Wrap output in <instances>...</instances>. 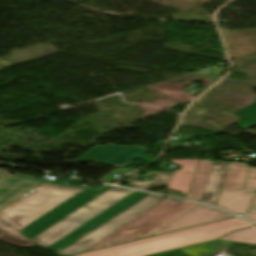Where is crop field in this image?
<instances>
[{"label": "crop field", "mask_w": 256, "mask_h": 256, "mask_svg": "<svg viewBox=\"0 0 256 256\" xmlns=\"http://www.w3.org/2000/svg\"><path fill=\"white\" fill-rule=\"evenodd\" d=\"M6 172L0 170V218L18 231L86 188Z\"/></svg>", "instance_id": "1"}, {"label": "crop field", "mask_w": 256, "mask_h": 256, "mask_svg": "<svg viewBox=\"0 0 256 256\" xmlns=\"http://www.w3.org/2000/svg\"><path fill=\"white\" fill-rule=\"evenodd\" d=\"M251 225L255 224L234 217L75 256H145L214 240L235 229Z\"/></svg>", "instance_id": "2"}, {"label": "crop field", "mask_w": 256, "mask_h": 256, "mask_svg": "<svg viewBox=\"0 0 256 256\" xmlns=\"http://www.w3.org/2000/svg\"><path fill=\"white\" fill-rule=\"evenodd\" d=\"M197 205L165 199L85 251L148 237Z\"/></svg>", "instance_id": "3"}, {"label": "crop field", "mask_w": 256, "mask_h": 256, "mask_svg": "<svg viewBox=\"0 0 256 256\" xmlns=\"http://www.w3.org/2000/svg\"><path fill=\"white\" fill-rule=\"evenodd\" d=\"M132 192L134 191L112 187L31 241L45 249Z\"/></svg>", "instance_id": "4"}, {"label": "crop field", "mask_w": 256, "mask_h": 256, "mask_svg": "<svg viewBox=\"0 0 256 256\" xmlns=\"http://www.w3.org/2000/svg\"><path fill=\"white\" fill-rule=\"evenodd\" d=\"M163 199L164 198L155 195L144 198L58 254L69 256L84 251Z\"/></svg>", "instance_id": "5"}, {"label": "crop field", "mask_w": 256, "mask_h": 256, "mask_svg": "<svg viewBox=\"0 0 256 256\" xmlns=\"http://www.w3.org/2000/svg\"><path fill=\"white\" fill-rule=\"evenodd\" d=\"M150 194L147 193H141V192H134L130 194L129 196L123 198L119 202L115 203L102 213L98 214L88 222H86L84 225L70 233L69 235L65 236L61 240L57 241L53 245L49 246L46 250L52 251V252H59L65 247L69 246L73 242L77 241L78 239L82 238L86 234L90 233L91 231L95 230L123 210L127 209L137 201L143 199L144 197L148 196Z\"/></svg>", "instance_id": "6"}, {"label": "crop field", "mask_w": 256, "mask_h": 256, "mask_svg": "<svg viewBox=\"0 0 256 256\" xmlns=\"http://www.w3.org/2000/svg\"><path fill=\"white\" fill-rule=\"evenodd\" d=\"M109 188L108 186L99 189L88 187L20 232L31 240Z\"/></svg>", "instance_id": "7"}, {"label": "crop field", "mask_w": 256, "mask_h": 256, "mask_svg": "<svg viewBox=\"0 0 256 256\" xmlns=\"http://www.w3.org/2000/svg\"><path fill=\"white\" fill-rule=\"evenodd\" d=\"M102 149L104 151L101 152ZM119 150L121 152L118 153ZM146 152L147 150L138 147H119L109 144L106 147L95 146L75 161H88L115 167L128 166L135 158L150 163L154 159L146 156ZM110 157L112 159H109Z\"/></svg>", "instance_id": "8"}, {"label": "crop field", "mask_w": 256, "mask_h": 256, "mask_svg": "<svg viewBox=\"0 0 256 256\" xmlns=\"http://www.w3.org/2000/svg\"><path fill=\"white\" fill-rule=\"evenodd\" d=\"M250 189H256L255 167H249L246 189L222 190L217 206L238 214L247 212L254 193Z\"/></svg>", "instance_id": "9"}, {"label": "crop field", "mask_w": 256, "mask_h": 256, "mask_svg": "<svg viewBox=\"0 0 256 256\" xmlns=\"http://www.w3.org/2000/svg\"><path fill=\"white\" fill-rule=\"evenodd\" d=\"M229 217H233V216L220 212L212 207H208L200 204L153 235H157V234H161V233H165V232H169V231H173V230H177L185 227H190L198 224H203L211 221L225 219Z\"/></svg>", "instance_id": "10"}, {"label": "crop field", "mask_w": 256, "mask_h": 256, "mask_svg": "<svg viewBox=\"0 0 256 256\" xmlns=\"http://www.w3.org/2000/svg\"><path fill=\"white\" fill-rule=\"evenodd\" d=\"M172 162L180 166L181 169L175 171L168 189L177 190L187 194L199 160H173ZM188 172H192V174H189Z\"/></svg>", "instance_id": "11"}, {"label": "crop field", "mask_w": 256, "mask_h": 256, "mask_svg": "<svg viewBox=\"0 0 256 256\" xmlns=\"http://www.w3.org/2000/svg\"><path fill=\"white\" fill-rule=\"evenodd\" d=\"M227 166L228 164L223 162H213L212 169L200 201L216 206ZM206 193H211V196L207 198Z\"/></svg>", "instance_id": "12"}, {"label": "crop field", "mask_w": 256, "mask_h": 256, "mask_svg": "<svg viewBox=\"0 0 256 256\" xmlns=\"http://www.w3.org/2000/svg\"><path fill=\"white\" fill-rule=\"evenodd\" d=\"M247 168L243 163L230 162L222 189H244Z\"/></svg>", "instance_id": "13"}, {"label": "crop field", "mask_w": 256, "mask_h": 256, "mask_svg": "<svg viewBox=\"0 0 256 256\" xmlns=\"http://www.w3.org/2000/svg\"><path fill=\"white\" fill-rule=\"evenodd\" d=\"M211 165V161L200 160V164L194 182L192 184L190 193L186 195V198L198 201L200 200L211 169ZM204 173H206L207 175L205 176Z\"/></svg>", "instance_id": "14"}, {"label": "crop field", "mask_w": 256, "mask_h": 256, "mask_svg": "<svg viewBox=\"0 0 256 256\" xmlns=\"http://www.w3.org/2000/svg\"><path fill=\"white\" fill-rule=\"evenodd\" d=\"M0 241L17 248L33 245L29 240L23 238L10 227L0 221Z\"/></svg>", "instance_id": "15"}, {"label": "crop field", "mask_w": 256, "mask_h": 256, "mask_svg": "<svg viewBox=\"0 0 256 256\" xmlns=\"http://www.w3.org/2000/svg\"><path fill=\"white\" fill-rule=\"evenodd\" d=\"M221 239L256 245V227L234 231Z\"/></svg>", "instance_id": "16"}, {"label": "crop field", "mask_w": 256, "mask_h": 256, "mask_svg": "<svg viewBox=\"0 0 256 256\" xmlns=\"http://www.w3.org/2000/svg\"><path fill=\"white\" fill-rule=\"evenodd\" d=\"M173 173H151L149 176L154 175L156 180L150 182H135L131 179H128L125 182H129L133 188L145 190L146 188L157 184L168 185Z\"/></svg>", "instance_id": "17"}, {"label": "crop field", "mask_w": 256, "mask_h": 256, "mask_svg": "<svg viewBox=\"0 0 256 256\" xmlns=\"http://www.w3.org/2000/svg\"><path fill=\"white\" fill-rule=\"evenodd\" d=\"M236 115L245 119L237 124L240 129L246 131L256 126V103L236 112Z\"/></svg>", "instance_id": "18"}, {"label": "crop field", "mask_w": 256, "mask_h": 256, "mask_svg": "<svg viewBox=\"0 0 256 256\" xmlns=\"http://www.w3.org/2000/svg\"><path fill=\"white\" fill-rule=\"evenodd\" d=\"M197 246L199 248L203 249L204 251H206L207 253L211 254L212 256H215L203 244L197 245ZM152 256H195V255H193L192 253H190L186 249L182 248V249H178V250H174V251H170V252H164V253H160V254H156V255H152Z\"/></svg>", "instance_id": "19"}, {"label": "crop field", "mask_w": 256, "mask_h": 256, "mask_svg": "<svg viewBox=\"0 0 256 256\" xmlns=\"http://www.w3.org/2000/svg\"><path fill=\"white\" fill-rule=\"evenodd\" d=\"M245 217L250 218V219L256 221V213L255 214H251V215H247Z\"/></svg>", "instance_id": "20"}, {"label": "crop field", "mask_w": 256, "mask_h": 256, "mask_svg": "<svg viewBox=\"0 0 256 256\" xmlns=\"http://www.w3.org/2000/svg\"><path fill=\"white\" fill-rule=\"evenodd\" d=\"M255 210H256V197H255V199H254L253 206H252V208L250 209L249 212L255 211Z\"/></svg>", "instance_id": "21"}]
</instances>
